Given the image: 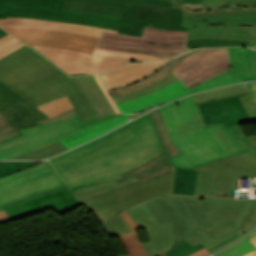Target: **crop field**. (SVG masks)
<instances>
[{
	"label": "crop field",
	"mask_w": 256,
	"mask_h": 256,
	"mask_svg": "<svg viewBox=\"0 0 256 256\" xmlns=\"http://www.w3.org/2000/svg\"><path fill=\"white\" fill-rule=\"evenodd\" d=\"M163 152L148 115L50 159L72 191L121 177Z\"/></svg>",
	"instance_id": "1"
},
{
	"label": "crop field",
	"mask_w": 256,
	"mask_h": 256,
	"mask_svg": "<svg viewBox=\"0 0 256 256\" xmlns=\"http://www.w3.org/2000/svg\"><path fill=\"white\" fill-rule=\"evenodd\" d=\"M171 138L184 154L174 164L192 168L201 163L241 152L256 156V136L245 137L240 126L221 123L205 126L192 96L160 107Z\"/></svg>",
	"instance_id": "2"
},
{
	"label": "crop field",
	"mask_w": 256,
	"mask_h": 256,
	"mask_svg": "<svg viewBox=\"0 0 256 256\" xmlns=\"http://www.w3.org/2000/svg\"><path fill=\"white\" fill-rule=\"evenodd\" d=\"M48 61L25 45L0 59V79L35 106L67 95L82 121L97 118L75 77Z\"/></svg>",
	"instance_id": "3"
},
{
	"label": "crop field",
	"mask_w": 256,
	"mask_h": 256,
	"mask_svg": "<svg viewBox=\"0 0 256 256\" xmlns=\"http://www.w3.org/2000/svg\"><path fill=\"white\" fill-rule=\"evenodd\" d=\"M64 2L65 0H0V18L16 16L86 24L138 36L142 35L144 25L188 30V26H183V9L127 4L119 20L98 14L62 11Z\"/></svg>",
	"instance_id": "4"
},
{
	"label": "crop field",
	"mask_w": 256,
	"mask_h": 256,
	"mask_svg": "<svg viewBox=\"0 0 256 256\" xmlns=\"http://www.w3.org/2000/svg\"><path fill=\"white\" fill-rule=\"evenodd\" d=\"M188 31L161 30L144 27L142 37L100 32L96 48L126 53L146 54L171 59L195 48H187Z\"/></svg>",
	"instance_id": "5"
},
{
	"label": "crop field",
	"mask_w": 256,
	"mask_h": 256,
	"mask_svg": "<svg viewBox=\"0 0 256 256\" xmlns=\"http://www.w3.org/2000/svg\"><path fill=\"white\" fill-rule=\"evenodd\" d=\"M115 115L86 123H81L75 110L38 121L40 126L22 129L24 135L0 144V159H13L34 149L78 133L99 122L120 116Z\"/></svg>",
	"instance_id": "6"
},
{
	"label": "crop field",
	"mask_w": 256,
	"mask_h": 256,
	"mask_svg": "<svg viewBox=\"0 0 256 256\" xmlns=\"http://www.w3.org/2000/svg\"><path fill=\"white\" fill-rule=\"evenodd\" d=\"M176 166L167 175L81 200L102 225L121 211L158 196L172 194Z\"/></svg>",
	"instance_id": "7"
},
{
	"label": "crop field",
	"mask_w": 256,
	"mask_h": 256,
	"mask_svg": "<svg viewBox=\"0 0 256 256\" xmlns=\"http://www.w3.org/2000/svg\"><path fill=\"white\" fill-rule=\"evenodd\" d=\"M124 3L184 8V25L242 24L256 26V0H204L203 12H190L182 0H109Z\"/></svg>",
	"instance_id": "8"
},
{
	"label": "crop field",
	"mask_w": 256,
	"mask_h": 256,
	"mask_svg": "<svg viewBox=\"0 0 256 256\" xmlns=\"http://www.w3.org/2000/svg\"><path fill=\"white\" fill-rule=\"evenodd\" d=\"M146 205L159 223L173 219L176 241L183 238L193 244L199 241L205 244L213 240L202 229L208 226L202 213V197L164 196L146 202Z\"/></svg>",
	"instance_id": "9"
},
{
	"label": "crop field",
	"mask_w": 256,
	"mask_h": 256,
	"mask_svg": "<svg viewBox=\"0 0 256 256\" xmlns=\"http://www.w3.org/2000/svg\"><path fill=\"white\" fill-rule=\"evenodd\" d=\"M31 47L42 53L70 76L108 72L129 64L131 60L141 62L162 61L146 55L126 54L97 49H95L93 56H91L63 48Z\"/></svg>",
	"instance_id": "10"
},
{
	"label": "crop field",
	"mask_w": 256,
	"mask_h": 256,
	"mask_svg": "<svg viewBox=\"0 0 256 256\" xmlns=\"http://www.w3.org/2000/svg\"><path fill=\"white\" fill-rule=\"evenodd\" d=\"M194 170L207 173L203 196L224 197L217 196L218 191L234 195L240 190V178H251L252 188L256 187V157L246 152L217 159Z\"/></svg>",
	"instance_id": "11"
},
{
	"label": "crop field",
	"mask_w": 256,
	"mask_h": 256,
	"mask_svg": "<svg viewBox=\"0 0 256 256\" xmlns=\"http://www.w3.org/2000/svg\"><path fill=\"white\" fill-rule=\"evenodd\" d=\"M60 184L62 179L46 161L0 179V205Z\"/></svg>",
	"instance_id": "12"
},
{
	"label": "crop field",
	"mask_w": 256,
	"mask_h": 256,
	"mask_svg": "<svg viewBox=\"0 0 256 256\" xmlns=\"http://www.w3.org/2000/svg\"><path fill=\"white\" fill-rule=\"evenodd\" d=\"M78 205L80 203L63 184L7 203L2 207L14 220L50 209L61 214Z\"/></svg>",
	"instance_id": "13"
},
{
	"label": "crop field",
	"mask_w": 256,
	"mask_h": 256,
	"mask_svg": "<svg viewBox=\"0 0 256 256\" xmlns=\"http://www.w3.org/2000/svg\"><path fill=\"white\" fill-rule=\"evenodd\" d=\"M230 68L228 48H213L200 49L171 72L189 88Z\"/></svg>",
	"instance_id": "14"
},
{
	"label": "crop field",
	"mask_w": 256,
	"mask_h": 256,
	"mask_svg": "<svg viewBox=\"0 0 256 256\" xmlns=\"http://www.w3.org/2000/svg\"><path fill=\"white\" fill-rule=\"evenodd\" d=\"M17 39L28 45H42L69 48L93 54L98 38L56 30H34L4 28Z\"/></svg>",
	"instance_id": "15"
},
{
	"label": "crop field",
	"mask_w": 256,
	"mask_h": 256,
	"mask_svg": "<svg viewBox=\"0 0 256 256\" xmlns=\"http://www.w3.org/2000/svg\"><path fill=\"white\" fill-rule=\"evenodd\" d=\"M232 69L195 85L192 93L246 80H256V52L246 47L229 48Z\"/></svg>",
	"instance_id": "16"
},
{
	"label": "crop field",
	"mask_w": 256,
	"mask_h": 256,
	"mask_svg": "<svg viewBox=\"0 0 256 256\" xmlns=\"http://www.w3.org/2000/svg\"><path fill=\"white\" fill-rule=\"evenodd\" d=\"M127 211L151 238V242L143 244L148 256L163 254L175 243L172 220L159 224L145 203Z\"/></svg>",
	"instance_id": "17"
},
{
	"label": "crop field",
	"mask_w": 256,
	"mask_h": 256,
	"mask_svg": "<svg viewBox=\"0 0 256 256\" xmlns=\"http://www.w3.org/2000/svg\"><path fill=\"white\" fill-rule=\"evenodd\" d=\"M241 95L198 104L205 124L221 122L228 127L252 122L240 101Z\"/></svg>",
	"instance_id": "18"
},
{
	"label": "crop field",
	"mask_w": 256,
	"mask_h": 256,
	"mask_svg": "<svg viewBox=\"0 0 256 256\" xmlns=\"http://www.w3.org/2000/svg\"><path fill=\"white\" fill-rule=\"evenodd\" d=\"M0 108L19 129L37 126L36 121L48 118L1 80Z\"/></svg>",
	"instance_id": "19"
},
{
	"label": "crop field",
	"mask_w": 256,
	"mask_h": 256,
	"mask_svg": "<svg viewBox=\"0 0 256 256\" xmlns=\"http://www.w3.org/2000/svg\"><path fill=\"white\" fill-rule=\"evenodd\" d=\"M189 94L191 92L178 80L149 95L117 103V106L123 113H134Z\"/></svg>",
	"instance_id": "20"
},
{
	"label": "crop field",
	"mask_w": 256,
	"mask_h": 256,
	"mask_svg": "<svg viewBox=\"0 0 256 256\" xmlns=\"http://www.w3.org/2000/svg\"><path fill=\"white\" fill-rule=\"evenodd\" d=\"M1 27H24V28H34V29H56V30H64L70 31L90 36H99L100 30L104 31H112L108 29H102L92 26L86 25H78V24H68L61 23L55 21H47V20H37V19H28V18H15L8 17V19H0Z\"/></svg>",
	"instance_id": "21"
},
{
	"label": "crop field",
	"mask_w": 256,
	"mask_h": 256,
	"mask_svg": "<svg viewBox=\"0 0 256 256\" xmlns=\"http://www.w3.org/2000/svg\"><path fill=\"white\" fill-rule=\"evenodd\" d=\"M227 38L249 41L248 45H256V27L245 26H215L189 28L188 39Z\"/></svg>",
	"instance_id": "22"
},
{
	"label": "crop field",
	"mask_w": 256,
	"mask_h": 256,
	"mask_svg": "<svg viewBox=\"0 0 256 256\" xmlns=\"http://www.w3.org/2000/svg\"><path fill=\"white\" fill-rule=\"evenodd\" d=\"M166 62L167 61L150 64H131L121 69L101 74L100 77L104 82L106 88L110 89L127 83L135 82L149 75Z\"/></svg>",
	"instance_id": "23"
},
{
	"label": "crop field",
	"mask_w": 256,
	"mask_h": 256,
	"mask_svg": "<svg viewBox=\"0 0 256 256\" xmlns=\"http://www.w3.org/2000/svg\"><path fill=\"white\" fill-rule=\"evenodd\" d=\"M125 6L124 3L101 0H66L63 10L98 13L120 19Z\"/></svg>",
	"instance_id": "24"
},
{
	"label": "crop field",
	"mask_w": 256,
	"mask_h": 256,
	"mask_svg": "<svg viewBox=\"0 0 256 256\" xmlns=\"http://www.w3.org/2000/svg\"><path fill=\"white\" fill-rule=\"evenodd\" d=\"M174 166L175 165L163 152L150 161L123 173V177L116 179V181L119 182L133 176H135L138 181L160 177L170 172Z\"/></svg>",
	"instance_id": "25"
},
{
	"label": "crop field",
	"mask_w": 256,
	"mask_h": 256,
	"mask_svg": "<svg viewBox=\"0 0 256 256\" xmlns=\"http://www.w3.org/2000/svg\"><path fill=\"white\" fill-rule=\"evenodd\" d=\"M83 92L93 105L99 117L114 115L115 112L93 75L76 77Z\"/></svg>",
	"instance_id": "26"
},
{
	"label": "crop field",
	"mask_w": 256,
	"mask_h": 256,
	"mask_svg": "<svg viewBox=\"0 0 256 256\" xmlns=\"http://www.w3.org/2000/svg\"><path fill=\"white\" fill-rule=\"evenodd\" d=\"M129 116L130 115H125L107 122L99 123L89 129L83 130L78 134L62 139L61 141L68 149H70L126 122Z\"/></svg>",
	"instance_id": "27"
},
{
	"label": "crop field",
	"mask_w": 256,
	"mask_h": 256,
	"mask_svg": "<svg viewBox=\"0 0 256 256\" xmlns=\"http://www.w3.org/2000/svg\"><path fill=\"white\" fill-rule=\"evenodd\" d=\"M120 214L133 230V233L119 236L121 242L123 243L124 247L126 248L129 254V255H120V256H147L141 244V241L138 237V233L136 230V229H139L138 225L134 222V220L127 213L126 210Z\"/></svg>",
	"instance_id": "28"
},
{
	"label": "crop field",
	"mask_w": 256,
	"mask_h": 256,
	"mask_svg": "<svg viewBox=\"0 0 256 256\" xmlns=\"http://www.w3.org/2000/svg\"><path fill=\"white\" fill-rule=\"evenodd\" d=\"M152 121L154 123V126L157 130V133L159 135L160 141L162 143V146L169 156V158L182 155V153L178 150V148L173 144L169 132L167 130V127L165 125L164 119L162 117L160 109H156L149 113Z\"/></svg>",
	"instance_id": "29"
},
{
	"label": "crop field",
	"mask_w": 256,
	"mask_h": 256,
	"mask_svg": "<svg viewBox=\"0 0 256 256\" xmlns=\"http://www.w3.org/2000/svg\"><path fill=\"white\" fill-rule=\"evenodd\" d=\"M197 50H199V49H197ZM197 50H193V51H191V52H189L187 54H184V55L176 57L168 66H166L164 69H162L157 74L151 76L150 78L145 79L143 82H140V83L132 85V86H127V87L115 90L113 92H110V95L114 96V95H118V94L127 93L129 91H132V90H135V89H139V88H141V87H143V86H145L147 84H150V83L156 81L160 77L168 74L174 68L178 67L181 63H183L188 57H190Z\"/></svg>",
	"instance_id": "30"
},
{
	"label": "crop field",
	"mask_w": 256,
	"mask_h": 256,
	"mask_svg": "<svg viewBox=\"0 0 256 256\" xmlns=\"http://www.w3.org/2000/svg\"><path fill=\"white\" fill-rule=\"evenodd\" d=\"M197 171L177 167L173 194L193 195Z\"/></svg>",
	"instance_id": "31"
},
{
	"label": "crop field",
	"mask_w": 256,
	"mask_h": 256,
	"mask_svg": "<svg viewBox=\"0 0 256 256\" xmlns=\"http://www.w3.org/2000/svg\"><path fill=\"white\" fill-rule=\"evenodd\" d=\"M178 80V78L172 74L171 72L160 78L159 80H157L156 82L142 88V89H139V90H135V91H132L130 93H127V94H123V95H119V96H114L113 99L115 101V103L117 102H121V101H125V100H129V99H132V98H135V97H138V96H141V95H145V94H149L153 91H156L174 81Z\"/></svg>",
	"instance_id": "32"
},
{
	"label": "crop field",
	"mask_w": 256,
	"mask_h": 256,
	"mask_svg": "<svg viewBox=\"0 0 256 256\" xmlns=\"http://www.w3.org/2000/svg\"><path fill=\"white\" fill-rule=\"evenodd\" d=\"M137 182L136 178H130L127 179L125 181L119 182L117 183L115 180L113 181H109V182H105L90 188H86V189H82V190H78V191H74L73 193L76 195V197L81 200L87 197H91L103 192H107L110 191L112 189H116L125 185H128L130 183H134Z\"/></svg>",
	"instance_id": "33"
},
{
	"label": "crop field",
	"mask_w": 256,
	"mask_h": 256,
	"mask_svg": "<svg viewBox=\"0 0 256 256\" xmlns=\"http://www.w3.org/2000/svg\"><path fill=\"white\" fill-rule=\"evenodd\" d=\"M256 236V226L238 243L212 255V256H243L256 247L248 240Z\"/></svg>",
	"instance_id": "34"
},
{
	"label": "crop field",
	"mask_w": 256,
	"mask_h": 256,
	"mask_svg": "<svg viewBox=\"0 0 256 256\" xmlns=\"http://www.w3.org/2000/svg\"><path fill=\"white\" fill-rule=\"evenodd\" d=\"M247 92L245 83L193 95L196 102H204Z\"/></svg>",
	"instance_id": "35"
},
{
	"label": "crop field",
	"mask_w": 256,
	"mask_h": 256,
	"mask_svg": "<svg viewBox=\"0 0 256 256\" xmlns=\"http://www.w3.org/2000/svg\"><path fill=\"white\" fill-rule=\"evenodd\" d=\"M67 150L64 144L59 140L37 150H34L26 155L16 159H44L56 155L60 152Z\"/></svg>",
	"instance_id": "36"
},
{
	"label": "crop field",
	"mask_w": 256,
	"mask_h": 256,
	"mask_svg": "<svg viewBox=\"0 0 256 256\" xmlns=\"http://www.w3.org/2000/svg\"><path fill=\"white\" fill-rule=\"evenodd\" d=\"M19 135H22L21 131L0 109V143Z\"/></svg>",
	"instance_id": "37"
},
{
	"label": "crop field",
	"mask_w": 256,
	"mask_h": 256,
	"mask_svg": "<svg viewBox=\"0 0 256 256\" xmlns=\"http://www.w3.org/2000/svg\"><path fill=\"white\" fill-rule=\"evenodd\" d=\"M203 247L204 244L201 242L192 245L182 239L176 242L163 256H187Z\"/></svg>",
	"instance_id": "38"
},
{
	"label": "crop field",
	"mask_w": 256,
	"mask_h": 256,
	"mask_svg": "<svg viewBox=\"0 0 256 256\" xmlns=\"http://www.w3.org/2000/svg\"><path fill=\"white\" fill-rule=\"evenodd\" d=\"M37 108H39L46 115L51 117L55 114L65 112L73 107H72L71 103L69 102L67 96H65V97L57 99L55 101L37 106Z\"/></svg>",
	"instance_id": "39"
},
{
	"label": "crop field",
	"mask_w": 256,
	"mask_h": 256,
	"mask_svg": "<svg viewBox=\"0 0 256 256\" xmlns=\"http://www.w3.org/2000/svg\"><path fill=\"white\" fill-rule=\"evenodd\" d=\"M245 41H235L227 39H205V40H188V47H221L247 45Z\"/></svg>",
	"instance_id": "40"
},
{
	"label": "crop field",
	"mask_w": 256,
	"mask_h": 256,
	"mask_svg": "<svg viewBox=\"0 0 256 256\" xmlns=\"http://www.w3.org/2000/svg\"><path fill=\"white\" fill-rule=\"evenodd\" d=\"M102 228L110 237L132 232L120 214L106 222Z\"/></svg>",
	"instance_id": "41"
},
{
	"label": "crop field",
	"mask_w": 256,
	"mask_h": 256,
	"mask_svg": "<svg viewBox=\"0 0 256 256\" xmlns=\"http://www.w3.org/2000/svg\"><path fill=\"white\" fill-rule=\"evenodd\" d=\"M38 162H5L0 161V177L21 170Z\"/></svg>",
	"instance_id": "42"
},
{
	"label": "crop field",
	"mask_w": 256,
	"mask_h": 256,
	"mask_svg": "<svg viewBox=\"0 0 256 256\" xmlns=\"http://www.w3.org/2000/svg\"><path fill=\"white\" fill-rule=\"evenodd\" d=\"M16 38H11L0 44V58L23 46Z\"/></svg>",
	"instance_id": "43"
},
{
	"label": "crop field",
	"mask_w": 256,
	"mask_h": 256,
	"mask_svg": "<svg viewBox=\"0 0 256 256\" xmlns=\"http://www.w3.org/2000/svg\"><path fill=\"white\" fill-rule=\"evenodd\" d=\"M256 223V205L252 206L247 218L240 225V229L246 233Z\"/></svg>",
	"instance_id": "44"
},
{
	"label": "crop field",
	"mask_w": 256,
	"mask_h": 256,
	"mask_svg": "<svg viewBox=\"0 0 256 256\" xmlns=\"http://www.w3.org/2000/svg\"><path fill=\"white\" fill-rule=\"evenodd\" d=\"M240 233H242V231L239 228H237V229H235V230H233V231L215 239L214 241L206 244L205 248L209 251L210 249H212L216 245L220 244L221 242H223V241H225V240H227V239H229V238H231V237H233L237 234H240Z\"/></svg>",
	"instance_id": "45"
},
{
	"label": "crop field",
	"mask_w": 256,
	"mask_h": 256,
	"mask_svg": "<svg viewBox=\"0 0 256 256\" xmlns=\"http://www.w3.org/2000/svg\"><path fill=\"white\" fill-rule=\"evenodd\" d=\"M241 100H242L248 114L250 115L252 121L256 122V104L255 105L251 104L249 95L242 96Z\"/></svg>",
	"instance_id": "46"
},
{
	"label": "crop field",
	"mask_w": 256,
	"mask_h": 256,
	"mask_svg": "<svg viewBox=\"0 0 256 256\" xmlns=\"http://www.w3.org/2000/svg\"><path fill=\"white\" fill-rule=\"evenodd\" d=\"M205 176H206L205 173H202V172L198 171L194 195L202 196L203 184H204Z\"/></svg>",
	"instance_id": "47"
},
{
	"label": "crop field",
	"mask_w": 256,
	"mask_h": 256,
	"mask_svg": "<svg viewBox=\"0 0 256 256\" xmlns=\"http://www.w3.org/2000/svg\"><path fill=\"white\" fill-rule=\"evenodd\" d=\"M251 101L253 104L256 103V83H247Z\"/></svg>",
	"instance_id": "48"
},
{
	"label": "crop field",
	"mask_w": 256,
	"mask_h": 256,
	"mask_svg": "<svg viewBox=\"0 0 256 256\" xmlns=\"http://www.w3.org/2000/svg\"><path fill=\"white\" fill-rule=\"evenodd\" d=\"M243 235H244V234L242 233V234H240V235H238V236H236V237H234V238H232V239H230V240H228V241H226V242H224V243L218 245L217 247L213 248V249H212L211 251H209V252L212 253V252H214V251H216V250H218V249H220V248H222V247H224V246L230 244L231 242H233V241H235V240L241 238Z\"/></svg>",
	"instance_id": "49"
},
{
	"label": "crop field",
	"mask_w": 256,
	"mask_h": 256,
	"mask_svg": "<svg viewBox=\"0 0 256 256\" xmlns=\"http://www.w3.org/2000/svg\"><path fill=\"white\" fill-rule=\"evenodd\" d=\"M94 77L96 78V80L98 81V83L100 84V86L102 87L104 93L106 94V96H107L108 100L110 101L112 107L114 108L116 114H119L120 112L117 110L118 108L116 109V107H115V105H114L112 99L110 98V96H109V94L107 93L106 89H105L104 86L102 85V83H101V81L99 80L98 76H97V75H94ZM101 87H100V88H101Z\"/></svg>",
	"instance_id": "50"
},
{
	"label": "crop field",
	"mask_w": 256,
	"mask_h": 256,
	"mask_svg": "<svg viewBox=\"0 0 256 256\" xmlns=\"http://www.w3.org/2000/svg\"><path fill=\"white\" fill-rule=\"evenodd\" d=\"M172 60H173V59L169 60L165 65H163L161 68H159L158 70H156L155 72H153V73L150 74L149 76H151V75L157 73L159 70H161V69H162L163 67H165L167 64H169ZM149 76H147V77H149ZM147 77H145V78H147ZM145 78H143V79H141V80H139V81H137V82H140V81L144 80ZM137 82H135V83H137ZM132 84H134V83H132ZM128 85H131V84H128ZM124 86H127V85H124ZM124 86H121V87H124ZM121 87H118V88H121ZM118 88L110 89V90H108V91L110 92V91H113V90L118 89Z\"/></svg>",
	"instance_id": "51"
},
{
	"label": "crop field",
	"mask_w": 256,
	"mask_h": 256,
	"mask_svg": "<svg viewBox=\"0 0 256 256\" xmlns=\"http://www.w3.org/2000/svg\"><path fill=\"white\" fill-rule=\"evenodd\" d=\"M208 254H210V253L204 248V249H202V250H200V251H198V252H196V253H194L190 256H206Z\"/></svg>",
	"instance_id": "52"
},
{
	"label": "crop field",
	"mask_w": 256,
	"mask_h": 256,
	"mask_svg": "<svg viewBox=\"0 0 256 256\" xmlns=\"http://www.w3.org/2000/svg\"><path fill=\"white\" fill-rule=\"evenodd\" d=\"M184 6H190L191 10L193 9H202L201 4H183Z\"/></svg>",
	"instance_id": "53"
},
{
	"label": "crop field",
	"mask_w": 256,
	"mask_h": 256,
	"mask_svg": "<svg viewBox=\"0 0 256 256\" xmlns=\"http://www.w3.org/2000/svg\"><path fill=\"white\" fill-rule=\"evenodd\" d=\"M250 241L256 246V237L253 238V239H250ZM245 256H256V250L247 254V255H245Z\"/></svg>",
	"instance_id": "54"
},
{
	"label": "crop field",
	"mask_w": 256,
	"mask_h": 256,
	"mask_svg": "<svg viewBox=\"0 0 256 256\" xmlns=\"http://www.w3.org/2000/svg\"><path fill=\"white\" fill-rule=\"evenodd\" d=\"M183 3H203V0H183Z\"/></svg>",
	"instance_id": "55"
},
{
	"label": "crop field",
	"mask_w": 256,
	"mask_h": 256,
	"mask_svg": "<svg viewBox=\"0 0 256 256\" xmlns=\"http://www.w3.org/2000/svg\"><path fill=\"white\" fill-rule=\"evenodd\" d=\"M12 221L10 217L0 219V224Z\"/></svg>",
	"instance_id": "56"
},
{
	"label": "crop field",
	"mask_w": 256,
	"mask_h": 256,
	"mask_svg": "<svg viewBox=\"0 0 256 256\" xmlns=\"http://www.w3.org/2000/svg\"><path fill=\"white\" fill-rule=\"evenodd\" d=\"M10 37H12V36L8 34V35H6V36L0 38V42L4 41V40H6V39H8V38H10Z\"/></svg>",
	"instance_id": "57"
},
{
	"label": "crop field",
	"mask_w": 256,
	"mask_h": 256,
	"mask_svg": "<svg viewBox=\"0 0 256 256\" xmlns=\"http://www.w3.org/2000/svg\"><path fill=\"white\" fill-rule=\"evenodd\" d=\"M8 215L6 214V212L5 211H3V212H0V218H2V217H7Z\"/></svg>",
	"instance_id": "58"
},
{
	"label": "crop field",
	"mask_w": 256,
	"mask_h": 256,
	"mask_svg": "<svg viewBox=\"0 0 256 256\" xmlns=\"http://www.w3.org/2000/svg\"><path fill=\"white\" fill-rule=\"evenodd\" d=\"M6 34H8V33H6L5 31H3V30L0 28V37L4 36V35H6Z\"/></svg>",
	"instance_id": "59"
},
{
	"label": "crop field",
	"mask_w": 256,
	"mask_h": 256,
	"mask_svg": "<svg viewBox=\"0 0 256 256\" xmlns=\"http://www.w3.org/2000/svg\"><path fill=\"white\" fill-rule=\"evenodd\" d=\"M256 49V48H255Z\"/></svg>",
	"instance_id": "60"
}]
</instances>
